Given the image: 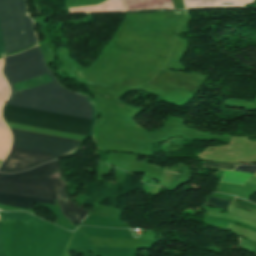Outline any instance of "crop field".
Wrapping results in <instances>:
<instances>
[{"instance_id":"1","label":"crop field","mask_w":256,"mask_h":256,"mask_svg":"<svg viewBox=\"0 0 256 256\" xmlns=\"http://www.w3.org/2000/svg\"><path fill=\"white\" fill-rule=\"evenodd\" d=\"M39 47V46H38ZM38 47L31 48L23 53L5 58L3 68L11 88L8 100L9 107L4 105L3 117L5 122L92 136L95 122V106L88 96H81L68 92L57 84L46 68V64ZM48 74L54 84L44 85L31 89L14 92L12 83L27 80ZM13 135V145L10 154L0 166V171L12 173L30 169L38 164L55 159L60 154L74 150V140L43 136L10 130Z\"/></svg>"},{"instance_id":"2","label":"crop field","mask_w":256,"mask_h":256,"mask_svg":"<svg viewBox=\"0 0 256 256\" xmlns=\"http://www.w3.org/2000/svg\"><path fill=\"white\" fill-rule=\"evenodd\" d=\"M52 199L67 219L80 224L87 217L68 200L57 160L17 174L0 173V204L30 208L33 202L55 205Z\"/></svg>"},{"instance_id":"3","label":"crop field","mask_w":256,"mask_h":256,"mask_svg":"<svg viewBox=\"0 0 256 256\" xmlns=\"http://www.w3.org/2000/svg\"><path fill=\"white\" fill-rule=\"evenodd\" d=\"M1 221H13V222H33L42 221L41 219L25 213V212H5L1 215ZM1 226V222H0ZM0 256H4L0 246Z\"/></svg>"},{"instance_id":"4","label":"crop field","mask_w":256,"mask_h":256,"mask_svg":"<svg viewBox=\"0 0 256 256\" xmlns=\"http://www.w3.org/2000/svg\"><path fill=\"white\" fill-rule=\"evenodd\" d=\"M252 174L223 170L220 182L243 185Z\"/></svg>"},{"instance_id":"5","label":"crop field","mask_w":256,"mask_h":256,"mask_svg":"<svg viewBox=\"0 0 256 256\" xmlns=\"http://www.w3.org/2000/svg\"><path fill=\"white\" fill-rule=\"evenodd\" d=\"M230 202L231 201H228V200L208 197V199H207V201H206V203L204 205L211 206V207L227 209V207L230 204Z\"/></svg>"},{"instance_id":"6","label":"crop field","mask_w":256,"mask_h":256,"mask_svg":"<svg viewBox=\"0 0 256 256\" xmlns=\"http://www.w3.org/2000/svg\"><path fill=\"white\" fill-rule=\"evenodd\" d=\"M232 205L243 207L246 210L252 211L256 213V204L241 200L239 198H235Z\"/></svg>"},{"instance_id":"7","label":"crop field","mask_w":256,"mask_h":256,"mask_svg":"<svg viewBox=\"0 0 256 256\" xmlns=\"http://www.w3.org/2000/svg\"><path fill=\"white\" fill-rule=\"evenodd\" d=\"M238 165L236 163H206L203 162V167H214L220 169H234L235 166Z\"/></svg>"},{"instance_id":"8","label":"crop field","mask_w":256,"mask_h":256,"mask_svg":"<svg viewBox=\"0 0 256 256\" xmlns=\"http://www.w3.org/2000/svg\"><path fill=\"white\" fill-rule=\"evenodd\" d=\"M236 170L242 171V172L254 173L256 170V165H239Z\"/></svg>"}]
</instances>
